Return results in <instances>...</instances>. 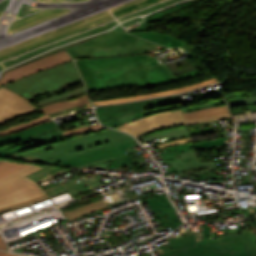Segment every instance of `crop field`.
<instances>
[{
	"instance_id": "obj_1",
	"label": "crop field",
	"mask_w": 256,
	"mask_h": 256,
	"mask_svg": "<svg viewBox=\"0 0 256 256\" xmlns=\"http://www.w3.org/2000/svg\"><path fill=\"white\" fill-rule=\"evenodd\" d=\"M154 53L76 60L88 92L137 85L139 89L198 76V69L174 76Z\"/></svg>"
},
{
	"instance_id": "obj_2",
	"label": "crop field",
	"mask_w": 256,
	"mask_h": 256,
	"mask_svg": "<svg viewBox=\"0 0 256 256\" xmlns=\"http://www.w3.org/2000/svg\"><path fill=\"white\" fill-rule=\"evenodd\" d=\"M131 141H135V139L127 134L121 133L119 131L108 130L56 142L53 144L46 145L44 147L22 152V154L41 158L33 163L72 168L73 166L62 165L58 164L57 162L67 160L72 157L92 152L95 150H99L102 148L123 144ZM128 156V153L116 155L100 159L88 164H84L75 168L82 169L93 164L98 165Z\"/></svg>"
},
{
	"instance_id": "obj_3",
	"label": "crop field",
	"mask_w": 256,
	"mask_h": 256,
	"mask_svg": "<svg viewBox=\"0 0 256 256\" xmlns=\"http://www.w3.org/2000/svg\"><path fill=\"white\" fill-rule=\"evenodd\" d=\"M167 49L123 32H111L66 49L75 58L113 56Z\"/></svg>"
},
{
	"instance_id": "obj_4",
	"label": "crop field",
	"mask_w": 256,
	"mask_h": 256,
	"mask_svg": "<svg viewBox=\"0 0 256 256\" xmlns=\"http://www.w3.org/2000/svg\"><path fill=\"white\" fill-rule=\"evenodd\" d=\"M183 102L182 96L157 98L116 106L97 108L100 121L112 128L146 115L160 111H168L179 108L178 103Z\"/></svg>"
},
{
	"instance_id": "obj_5",
	"label": "crop field",
	"mask_w": 256,
	"mask_h": 256,
	"mask_svg": "<svg viewBox=\"0 0 256 256\" xmlns=\"http://www.w3.org/2000/svg\"><path fill=\"white\" fill-rule=\"evenodd\" d=\"M74 61L31 75L4 87L29 99L59 89L58 86L80 79Z\"/></svg>"
},
{
	"instance_id": "obj_6",
	"label": "crop field",
	"mask_w": 256,
	"mask_h": 256,
	"mask_svg": "<svg viewBox=\"0 0 256 256\" xmlns=\"http://www.w3.org/2000/svg\"><path fill=\"white\" fill-rule=\"evenodd\" d=\"M66 139L54 120L0 137V158Z\"/></svg>"
},
{
	"instance_id": "obj_7",
	"label": "crop field",
	"mask_w": 256,
	"mask_h": 256,
	"mask_svg": "<svg viewBox=\"0 0 256 256\" xmlns=\"http://www.w3.org/2000/svg\"><path fill=\"white\" fill-rule=\"evenodd\" d=\"M45 166L34 165L0 179V207L29 200L45 194L38 184L25 175Z\"/></svg>"
},
{
	"instance_id": "obj_8",
	"label": "crop field",
	"mask_w": 256,
	"mask_h": 256,
	"mask_svg": "<svg viewBox=\"0 0 256 256\" xmlns=\"http://www.w3.org/2000/svg\"><path fill=\"white\" fill-rule=\"evenodd\" d=\"M229 117L231 116L229 113H227L215 116L184 120L181 109H176L173 111L160 112L151 116L143 117L141 119L117 127L116 129H120L129 132L135 136H138L141 134H145L147 132H152L161 128L177 126L180 124H194L200 122L213 121L217 119H225Z\"/></svg>"
},
{
	"instance_id": "obj_9",
	"label": "crop field",
	"mask_w": 256,
	"mask_h": 256,
	"mask_svg": "<svg viewBox=\"0 0 256 256\" xmlns=\"http://www.w3.org/2000/svg\"><path fill=\"white\" fill-rule=\"evenodd\" d=\"M162 157L173 167L174 172H180L198 167H203L204 171L189 173L186 175L215 171L214 161L200 162L197 156L196 148L194 147L181 149L172 153L162 154Z\"/></svg>"
},
{
	"instance_id": "obj_10",
	"label": "crop field",
	"mask_w": 256,
	"mask_h": 256,
	"mask_svg": "<svg viewBox=\"0 0 256 256\" xmlns=\"http://www.w3.org/2000/svg\"><path fill=\"white\" fill-rule=\"evenodd\" d=\"M35 110L37 109L30 101L4 87L0 88V124Z\"/></svg>"
},
{
	"instance_id": "obj_11",
	"label": "crop field",
	"mask_w": 256,
	"mask_h": 256,
	"mask_svg": "<svg viewBox=\"0 0 256 256\" xmlns=\"http://www.w3.org/2000/svg\"><path fill=\"white\" fill-rule=\"evenodd\" d=\"M71 60L70 56L63 50L59 53L53 54L51 56L40 59L36 62L24 65L17 69L8 71L5 73L4 77L0 80V85L6 84L7 82L16 80L21 77L38 72L47 67L59 64L61 62Z\"/></svg>"
},
{
	"instance_id": "obj_12",
	"label": "crop field",
	"mask_w": 256,
	"mask_h": 256,
	"mask_svg": "<svg viewBox=\"0 0 256 256\" xmlns=\"http://www.w3.org/2000/svg\"><path fill=\"white\" fill-rule=\"evenodd\" d=\"M150 208L158 218L163 228L170 227L172 231L182 222H179L175 211L165 198L164 195H159L146 200Z\"/></svg>"
},
{
	"instance_id": "obj_13",
	"label": "crop field",
	"mask_w": 256,
	"mask_h": 256,
	"mask_svg": "<svg viewBox=\"0 0 256 256\" xmlns=\"http://www.w3.org/2000/svg\"><path fill=\"white\" fill-rule=\"evenodd\" d=\"M160 256H233V253L228 243H222L189 247Z\"/></svg>"
},
{
	"instance_id": "obj_14",
	"label": "crop field",
	"mask_w": 256,
	"mask_h": 256,
	"mask_svg": "<svg viewBox=\"0 0 256 256\" xmlns=\"http://www.w3.org/2000/svg\"><path fill=\"white\" fill-rule=\"evenodd\" d=\"M89 107H92V105L88 99V95L85 94L80 97L48 105L42 109L45 115L47 114L50 117L55 118Z\"/></svg>"
},
{
	"instance_id": "obj_15",
	"label": "crop field",
	"mask_w": 256,
	"mask_h": 256,
	"mask_svg": "<svg viewBox=\"0 0 256 256\" xmlns=\"http://www.w3.org/2000/svg\"><path fill=\"white\" fill-rule=\"evenodd\" d=\"M214 83H218L216 78H214L212 80L204 81L202 83L193 84L191 86H187V87L171 90V91H166V92H161V93H154V94H148V95L131 96V97L113 99V100H108V101H98V102H93V105L94 106H99V105H106V104H114V103L135 101V100H140V99L149 98V97L172 95V94L189 91V90H192V89H195V88H198V87H202V86H206V85H210V84H214Z\"/></svg>"
},
{
	"instance_id": "obj_16",
	"label": "crop field",
	"mask_w": 256,
	"mask_h": 256,
	"mask_svg": "<svg viewBox=\"0 0 256 256\" xmlns=\"http://www.w3.org/2000/svg\"><path fill=\"white\" fill-rule=\"evenodd\" d=\"M128 147H131L130 143L103 149V150H99V151H95L92 153H88L85 155L75 157L73 159H70V160H67L64 162H60V163L78 166V165L88 163V162H91V161H94V160H97V159H100L103 157L124 153V152H126L124 148H128Z\"/></svg>"
},
{
	"instance_id": "obj_17",
	"label": "crop field",
	"mask_w": 256,
	"mask_h": 256,
	"mask_svg": "<svg viewBox=\"0 0 256 256\" xmlns=\"http://www.w3.org/2000/svg\"><path fill=\"white\" fill-rule=\"evenodd\" d=\"M136 36L163 44L165 46H168L169 48L174 47V46H181L185 45L176 39H174L171 35H165L161 33H155V32H137V33H132Z\"/></svg>"
},
{
	"instance_id": "obj_18",
	"label": "crop field",
	"mask_w": 256,
	"mask_h": 256,
	"mask_svg": "<svg viewBox=\"0 0 256 256\" xmlns=\"http://www.w3.org/2000/svg\"><path fill=\"white\" fill-rule=\"evenodd\" d=\"M68 190L72 196L81 193L87 188L81 183L77 184L75 179L68 181L66 183H63L61 185H58L56 187L50 188L48 190H45V192L49 195V197L57 195L59 193H62L64 191ZM88 191V190H87Z\"/></svg>"
},
{
	"instance_id": "obj_19",
	"label": "crop field",
	"mask_w": 256,
	"mask_h": 256,
	"mask_svg": "<svg viewBox=\"0 0 256 256\" xmlns=\"http://www.w3.org/2000/svg\"><path fill=\"white\" fill-rule=\"evenodd\" d=\"M104 207H107V205H106L105 201L102 199V200H99L97 202L72 209L70 211L65 212L64 214L67 216V218L69 220H71V219H74L76 217L83 216L84 214H88L90 212H93L97 209L104 208Z\"/></svg>"
},
{
	"instance_id": "obj_20",
	"label": "crop field",
	"mask_w": 256,
	"mask_h": 256,
	"mask_svg": "<svg viewBox=\"0 0 256 256\" xmlns=\"http://www.w3.org/2000/svg\"><path fill=\"white\" fill-rule=\"evenodd\" d=\"M173 250L182 249L193 245L208 244L207 239L204 238V242H195V234L186 237H175L167 240Z\"/></svg>"
},
{
	"instance_id": "obj_21",
	"label": "crop field",
	"mask_w": 256,
	"mask_h": 256,
	"mask_svg": "<svg viewBox=\"0 0 256 256\" xmlns=\"http://www.w3.org/2000/svg\"><path fill=\"white\" fill-rule=\"evenodd\" d=\"M227 112H229V111L225 104L222 106H215L213 108H206V109H201V110L194 111V112L185 113L183 115H184L185 119H188V118L215 115V114H221V113H227Z\"/></svg>"
},
{
	"instance_id": "obj_22",
	"label": "crop field",
	"mask_w": 256,
	"mask_h": 256,
	"mask_svg": "<svg viewBox=\"0 0 256 256\" xmlns=\"http://www.w3.org/2000/svg\"><path fill=\"white\" fill-rule=\"evenodd\" d=\"M220 145H224V138L209 140V141L200 142V143H192V144H185V145L171 147V148L165 149L166 150L165 153L175 151V150H178V149H181L184 147H188V146H194L196 148H205V147H216V146H220Z\"/></svg>"
},
{
	"instance_id": "obj_23",
	"label": "crop field",
	"mask_w": 256,
	"mask_h": 256,
	"mask_svg": "<svg viewBox=\"0 0 256 256\" xmlns=\"http://www.w3.org/2000/svg\"><path fill=\"white\" fill-rule=\"evenodd\" d=\"M28 165L30 164L7 161L0 165V178L8 174H11L15 171H18Z\"/></svg>"
},
{
	"instance_id": "obj_24",
	"label": "crop field",
	"mask_w": 256,
	"mask_h": 256,
	"mask_svg": "<svg viewBox=\"0 0 256 256\" xmlns=\"http://www.w3.org/2000/svg\"><path fill=\"white\" fill-rule=\"evenodd\" d=\"M249 256H256V233L240 234Z\"/></svg>"
},
{
	"instance_id": "obj_25",
	"label": "crop field",
	"mask_w": 256,
	"mask_h": 256,
	"mask_svg": "<svg viewBox=\"0 0 256 256\" xmlns=\"http://www.w3.org/2000/svg\"><path fill=\"white\" fill-rule=\"evenodd\" d=\"M47 119H50V117L46 115V116H42V117H39L37 119L28 121V122L23 123V124L14 125V126L8 128V129L0 131V135L7 134L9 132H12V131H15V130H18V129H21V128H24V127H27V126H30V125H33L35 123H38V122H41V121H44V120H47Z\"/></svg>"
},
{
	"instance_id": "obj_26",
	"label": "crop field",
	"mask_w": 256,
	"mask_h": 256,
	"mask_svg": "<svg viewBox=\"0 0 256 256\" xmlns=\"http://www.w3.org/2000/svg\"><path fill=\"white\" fill-rule=\"evenodd\" d=\"M48 198H49L48 195L45 194V195H42L40 197L31 199V200L23 202V203H19V204L11 205V206H8V207L0 208V213L11 211V210L17 209L19 207L29 205V204H32V203H35V202H38V201H42V200H45V199H48Z\"/></svg>"
},
{
	"instance_id": "obj_27",
	"label": "crop field",
	"mask_w": 256,
	"mask_h": 256,
	"mask_svg": "<svg viewBox=\"0 0 256 256\" xmlns=\"http://www.w3.org/2000/svg\"><path fill=\"white\" fill-rule=\"evenodd\" d=\"M102 128H105V127H102L99 124L90 125V126H87V127L71 130V131H68V132H64V135H65V137H68V136L81 134V133H85V132H89V131H94V130H98V129H102Z\"/></svg>"
},
{
	"instance_id": "obj_28",
	"label": "crop field",
	"mask_w": 256,
	"mask_h": 256,
	"mask_svg": "<svg viewBox=\"0 0 256 256\" xmlns=\"http://www.w3.org/2000/svg\"><path fill=\"white\" fill-rule=\"evenodd\" d=\"M229 244L234 252V256H248L242 241Z\"/></svg>"
},
{
	"instance_id": "obj_29",
	"label": "crop field",
	"mask_w": 256,
	"mask_h": 256,
	"mask_svg": "<svg viewBox=\"0 0 256 256\" xmlns=\"http://www.w3.org/2000/svg\"><path fill=\"white\" fill-rule=\"evenodd\" d=\"M225 104L223 99L220 100H216L210 103H206V104H201V105H197V106H193V107H187V108H183V113L184 112H188V111H193V110H197V109H201V108H206V107H213L215 105H222Z\"/></svg>"
},
{
	"instance_id": "obj_30",
	"label": "crop field",
	"mask_w": 256,
	"mask_h": 256,
	"mask_svg": "<svg viewBox=\"0 0 256 256\" xmlns=\"http://www.w3.org/2000/svg\"><path fill=\"white\" fill-rule=\"evenodd\" d=\"M239 240H241L239 234L223 236L219 239H208L209 244L221 243V242H235V241H239Z\"/></svg>"
},
{
	"instance_id": "obj_31",
	"label": "crop field",
	"mask_w": 256,
	"mask_h": 256,
	"mask_svg": "<svg viewBox=\"0 0 256 256\" xmlns=\"http://www.w3.org/2000/svg\"><path fill=\"white\" fill-rule=\"evenodd\" d=\"M85 90H86L85 87L73 89V90L64 92V93H62L60 95H55L53 97H50V98H47V99H44V100H40V101H38V104L46 102V101H50V100H53V99L61 98V97H64V96H68V95H71V94H75V93H78V92H81V91H85Z\"/></svg>"
},
{
	"instance_id": "obj_32",
	"label": "crop field",
	"mask_w": 256,
	"mask_h": 256,
	"mask_svg": "<svg viewBox=\"0 0 256 256\" xmlns=\"http://www.w3.org/2000/svg\"><path fill=\"white\" fill-rule=\"evenodd\" d=\"M228 106H235V105H242V104H248V103H255L256 98L250 97V98H242V99H235L231 101H226Z\"/></svg>"
},
{
	"instance_id": "obj_33",
	"label": "crop field",
	"mask_w": 256,
	"mask_h": 256,
	"mask_svg": "<svg viewBox=\"0 0 256 256\" xmlns=\"http://www.w3.org/2000/svg\"><path fill=\"white\" fill-rule=\"evenodd\" d=\"M187 141H192L191 137H186V138H181V139H178L176 141H173V142H168V143H163V144H160V145H156L155 147L161 149V148H164V147H167V146H170V145H175V144H178V143H182V142H187Z\"/></svg>"
},
{
	"instance_id": "obj_34",
	"label": "crop field",
	"mask_w": 256,
	"mask_h": 256,
	"mask_svg": "<svg viewBox=\"0 0 256 256\" xmlns=\"http://www.w3.org/2000/svg\"><path fill=\"white\" fill-rule=\"evenodd\" d=\"M87 93L86 91L85 92H81V93H78V94H75V95H71V96H68V97H64V98H61V99H57V100H53V101H50V102H46V103H43V104H39L38 105V109L45 106V105H48V104H51V103H54V102H58V101H61V100H66V99H69V98H72V97H76V96H79V95H82V94H85Z\"/></svg>"
},
{
	"instance_id": "obj_35",
	"label": "crop field",
	"mask_w": 256,
	"mask_h": 256,
	"mask_svg": "<svg viewBox=\"0 0 256 256\" xmlns=\"http://www.w3.org/2000/svg\"><path fill=\"white\" fill-rule=\"evenodd\" d=\"M134 160H138L136 158V156L120 159V160L113 161V162H109V165L112 166V165L121 164V163L129 162V161H134Z\"/></svg>"
},
{
	"instance_id": "obj_36",
	"label": "crop field",
	"mask_w": 256,
	"mask_h": 256,
	"mask_svg": "<svg viewBox=\"0 0 256 256\" xmlns=\"http://www.w3.org/2000/svg\"><path fill=\"white\" fill-rule=\"evenodd\" d=\"M203 227V235L206 238H210L208 225H201Z\"/></svg>"
},
{
	"instance_id": "obj_37",
	"label": "crop field",
	"mask_w": 256,
	"mask_h": 256,
	"mask_svg": "<svg viewBox=\"0 0 256 256\" xmlns=\"http://www.w3.org/2000/svg\"><path fill=\"white\" fill-rule=\"evenodd\" d=\"M0 250L8 251L1 236H0Z\"/></svg>"
},
{
	"instance_id": "obj_38",
	"label": "crop field",
	"mask_w": 256,
	"mask_h": 256,
	"mask_svg": "<svg viewBox=\"0 0 256 256\" xmlns=\"http://www.w3.org/2000/svg\"><path fill=\"white\" fill-rule=\"evenodd\" d=\"M13 255H17V254L0 251V256H13Z\"/></svg>"
},
{
	"instance_id": "obj_39",
	"label": "crop field",
	"mask_w": 256,
	"mask_h": 256,
	"mask_svg": "<svg viewBox=\"0 0 256 256\" xmlns=\"http://www.w3.org/2000/svg\"><path fill=\"white\" fill-rule=\"evenodd\" d=\"M2 162H4V161L0 160V163H2Z\"/></svg>"
},
{
	"instance_id": "obj_40",
	"label": "crop field",
	"mask_w": 256,
	"mask_h": 256,
	"mask_svg": "<svg viewBox=\"0 0 256 256\" xmlns=\"http://www.w3.org/2000/svg\"><path fill=\"white\" fill-rule=\"evenodd\" d=\"M17 256H20V255H17Z\"/></svg>"
}]
</instances>
